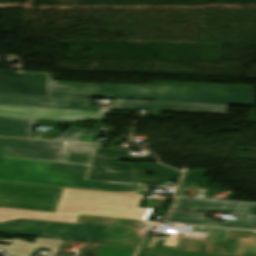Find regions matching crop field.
<instances>
[{
	"label": "crop field",
	"instance_id": "crop-field-1",
	"mask_svg": "<svg viewBox=\"0 0 256 256\" xmlns=\"http://www.w3.org/2000/svg\"><path fill=\"white\" fill-rule=\"evenodd\" d=\"M143 195L0 182V223L15 219L112 226L136 219Z\"/></svg>",
	"mask_w": 256,
	"mask_h": 256
},
{
	"label": "crop field",
	"instance_id": "crop-field-2",
	"mask_svg": "<svg viewBox=\"0 0 256 256\" xmlns=\"http://www.w3.org/2000/svg\"><path fill=\"white\" fill-rule=\"evenodd\" d=\"M250 90L252 93H247ZM51 95L254 105L253 86L156 81L154 85H87L52 81Z\"/></svg>",
	"mask_w": 256,
	"mask_h": 256
},
{
	"label": "crop field",
	"instance_id": "crop-field-3",
	"mask_svg": "<svg viewBox=\"0 0 256 256\" xmlns=\"http://www.w3.org/2000/svg\"><path fill=\"white\" fill-rule=\"evenodd\" d=\"M92 165L0 156V181L139 193L142 185L87 179Z\"/></svg>",
	"mask_w": 256,
	"mask_h": 256
},
{
	"label": "crop field",
	"instance_id": "crop-field-4",
	"mask_svg": "<svg viewBox=\"0 0 256 256\" xmlns=\"http://www.w3.org/2000/svg\"><path fill=\"white\" fill-rule=\"evenodd\" d=\"M146 172L154 173L145 177ZM182 173L159 164L118 163V160L95 158L90 180L162 185L163 181L180 180Z\"/></svg>",
	"mask_w": 256,
	"mask_h": 256
},
{
	"label": "crop field",
	"instance_id": "crop-field-5",
	"mask_svg": "<svg viewBox=\"0 0 256 256\" xmlns=\"http://www.w3.org/2000/svg\"><path fill=\"white\" fill-rule=\"evenodd\" d=\"M0 233L102 243L108 233V227L16 220L0 224Z\"/></svg>",
	"mask_w": 256,
	"mask_h": 256
},
{
	"label": "crop field",
	"instance_id": "crop-field-6",
	"mask_svg": "<svg viewBox=\"0 0 256 256\" xmlns=\"http://www.w3.org/2000/svg\"><path fill=\"white\" fill-rule=\"evenodd\" d=\"M103 112L62 110V109H43V108H25L13 106H1L0 116L39 119L60 122H78L87 119L100 120Z\"/></svg>",
	"mask_w": 256,
	"mask_h": 256
},
{
	"label": "crop field",
	"instance_id": "crop-field-7",
	"mask_svg": "<svg viewBox=\"0 0 256 256\" xmlns=\"http://www.w3.org/2000/svg\"><path fill=\"white\" fill-rule=\"evenodd\" d=\"M90 98L0 94V104L99 111L100 107L89 106Z\"/></svg>",
	"mask_w": 256,
	"mask_h": 256
},
{
	"label": "crop field",
	"instance_id": "crop-field-8",
	"mask_svg": "<svg viewBox=\"0 0 256 256\" xmlns=\"http://www.w3.org/2000/svg\"><path fill=\"white\" fill-rule=\"evenodd\" d=\"M50 75L0 71V93L50 95Z\"/></svg>",
	"mask_w": 256,
	"mask_h": 256
},
{
	"label": "crop field",
	"instance_id": "crop-field-9",
	"mask_svg": "<svg viewBox=\"0 0 256 256\" xmlns=\"http://www.w3.org/2000/svg\"><path fill=\"white\" fill-rule=\"evenodd\" d=\"M110 109L161 110L171 112L227 115L228 106L114 100Z\"/></svg>",
	"mask_w": 256,
	"mask_h": 256
},
{
	"label": "crop field",
	"instance_id": "crop-field-10",
	"mask_svg": "<svg viewBox=\"0 0 256 256\" xmlns=\"http://www.w3.org/2000/svg\"><path fill=\"white\" fill-rule=\"evenodd\" d=\"M196 233V232H191ZM204 234V233H202ZM162 249L233 255V256H256V247L227 245L213 242L181 240L177 247L163 246Z\"/></svg>",
	"mask_w": 256,
	"mask_h": 256
},
{
	"label": "crop field",
	"instance_id": "crop-field-11",
	"mask_svg": "<svg viewBox=\"0 0 256 256\" xmlns=\"http://www.w3.org/2000/svg\"><path fill=\"white\" fill-rule=\"evenodd\" d=\"M99 145L0 138V147L95 154Z\"/></svg>",
	"mask_w": 256,
	"mask_h": 256
},
{
	"label": "crop field",
	"instance_id": "crop-field-12",
	"mask_svg": "<svg viewBox=\"0 0 256 256\" xmlns=\"http://www.w3.org/2000/svg\"><path fill=\"white\" fill-rule=\"evenodd\" d=\"M203 216L204 214L198 213L171 212L167 222L256 230V218L254 217L236 216L235 220L221 222L204 219Z\"/></svg>",
	"mask_w": 256,
	"mask_h": 256
},
{
	"label": "crop field",
	"instance_id": "crop-field-13",
	"mask_svg": "<svg viewBox=\"0 0 256 256\" xmlns=\"http://www.w3.org/2000/svg\"><path fill=\"white\" fill-rule=\"evenodd\" d=\"M240 205L237 202L178 198L173 209L236 214Z\"/></svg>",
	"mask_w": 256,
	"mask_h": 256
},
{
	"label": "crop field",
	"instance_id": "crop-field-14",
	"mask_svg": "<svg viewBox=\"0 0 256 256\" xmlns=\"http://www.w3.org/2000/svg\"><path fill=\"white\" fill-rule=\"evenodd\" d=\"M64 240L36 238V244L20 239L12 241V246L0 245V249L10 256H31L35 249L59 251Z\"/></svg>",
	"mask_w": 256,
	"mask_h": 256
},
{
	"label": "crop field",
	"instance_id": "crop-field-15",
	"mask_svg": "<svg viewBox=\"0 0 256 256\" xmlns=\"http://www.w3.org/2000/svg\"><path fill=\"white\" fill-rule=\"evenodd\" d=\"M34 121L0 117V136L30 138Z\"/></svg>",
	"mask_w": 256,
	"mask_h": 256
},
{
	"label": "crop field",
	"instance_id": "crop-field-16",
	"mask_svg": "<svg viewBox=\"0 0 256 256\" xmlns=\"http://www.w3.org/2000/svg\"><path fill=\"white\" fill-rule=\"evenodd\" d=\"M206 171L192 170L186 173L179 186L227 191L228 188L207 186L210 179L203 178Z\"/></svg>",
	"mask_w": 256,
	"mask_h": 256
},
{
	"label": "crop field",
	"instance_id": "crop-field-17",
	"mask_svg": "<svg viewBox=\"0 0 256 256\" xmlns=\"http://www.w3.org/2000/svg\"><path fill=\"white\" fill-rule=\"evenodd\" d=\"M63 153L9 148L6 156L61 161Z\"/></svg>",
	"mask_w": 256,
	"mask_h": 256
},
{
	"label": "crop field",
	"instance_id": "crop-field-18",
	"mask_svg": "<svg viewBox=\"0 0 256 256\" xmlns=\"http://www.w3.org/2000/svg\"><path fill=\"white\" fill-rule=\"evenodd\" d=\"M137 247L103 244L98 256H133Z\"/></svg>",
	"mask_w": 256,
	"mask_h": 256
},
{
	"label": "crop field",
	"instance_id": "crop-field-19",
	"mask_svg": "<svg viewBox=\"0 0 256 256\" xmlns=\"http://www.w3.org/2000/svg\"><path fill=\"white\" fill-rule=\"evenodd\" d=\"M136 256H220V255L167 251V250L152 249V248H141L139 249Z\"/></svg>",
	"mask_w": 256,
	"mask_h": 256
},
{
	"label": "crop field",
	"instance_id": "crop-field-20",
	"mask_svg": "<svg viewBox=\"0 0 256 256\" xmlns=\"http://www.w3.org/2000/svg\"><path fill=\"white\" fill-rule=\"evenodd\" d=\"M101 126H98L95 130L82 129L70 126L65 132H63L57 139L60 140H73L80 141L82 136L94 137L95 133Z\"/></svg>",
	"mask_w": 256,
	"mask_h": 256
},
{
	"label": "crop field",
	"instance_id": "crop-field-21",
	"mask_svg": "<svg viewBox=\"0 0 256 256\" xmlns=\"http://www.w3.org/2000/svg\"><path fill=\"white\" fill-rule=\"evenodd\" d=\"M95 157L126 159V160H132V161H137L139 158L135 156H130L128 151L107 150V149H98Z\"/></svg>",
	"mask_w": 256,
	"mask_h": 256
},
{
	"label": "crop field",
	"instance_id": "crop-field-22",
	"mask_svg": "<svg viewBox=\"0 0 256 256\" xmlns=\"http://www.w3.org/2000/svg\"><path fill=\"white\" fill-rule=\"evenodd\" d=\"M94 155L64 153L62 161L92 164Z\"/></svg>",
	"mask_w": 256,
	"mask_h": 256
},
{
	"label": "crop field",
	"instance_id": "crop-field-23",
	"mask_svg": "<svg viewBox=\"0 0 256 256\" xmlns=\"http://www.w3.org/2000/svg\"><path fill=\"white\" fill-rule=\"evenodd\" d=\"M238 214L256 216V204L243 203Z\"/></svg>",
	"mask_w": 256,
	"mask_h": 256
},
{
	"label": "crop field",
	"instance_id": "crop-field-24",
	"mask_svg": "<svg viewBox=\"0 0 256 256\" xmlns=\"http://www.w3.org/2000/svg\"><path fill=\"white\" fill-rule=\"evenodd\" d=\"M152 209L149 208H143L138 219L139 220H146V218L148 217L149 213L151 212Z\"/></svg>",
	"mask_w": 256,
	"mask_h": 256
},
{
	"label": "crop field",
	"instance_id": "crop-field-25",
	"mask_svg": "<svg viewBox=\"0 0 256 256\" xmlns=\"http://www.w3.org/2000/svg\"><path fill=\"white\" fill-rule=\"evenodd\" d=\"M8 148H0V155L5 156Z\"/></svg>",
	"mask_w": 256,
	"mask_h": 256
}]
</instances>
